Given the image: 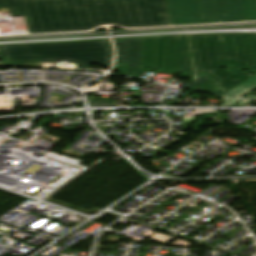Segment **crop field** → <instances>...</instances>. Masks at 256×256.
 I'll use <instances>...</instances> for the list:
<instances>
[{
  "label": "crop field",
  "mask_w": 256,
  "mask_h": 256,
  "mask_svg": "<svg viewBox=\"0 0 256 256\" xmlns=\"http://www.w3.org/2000/svg\"><path fill=\"white\" fill-rule=\"evenodd\" d=\"M119 26L172 25L167 0H114ZM30 33L93 29L105 24L99 0H0Z\"/></svg>",
  "instance_id": "1"
},
{
  "label": "crop field",
  "mask_w": 256,
  "mask_h": 256,
  "mask_svg": "<svg viewBox=\"0 0 256 256\" xmlns=\"http://www.w3.org/2000/svg\"><path fill=\"white\" fill-rule=\"evenodd\" d=\"M194 62L187 36H174L179 71L215 69L208 73L214 79L193 89L210 93L214 86L254 66L248 34H209L189 36ZM225 65V69H221Z\"/></svg>",
  "instance_id": "2"
},
{
  "label": "crop field",
  "mask_w": 256,
  "mask_h": 256,
  "mask_svg": "<svg viewBox=\"0 0 256 256\" xmlns=\"http://www.w3.org/2000/svg\"><path fill=\"white\" fill-rule=\"evenodd\" d=\"M5 66L40 67L41 62L68 60L78 68L98 63L110 68L113 49L106 40L1 46Z\"/></svg>",
  "instance_id": "3"
},
{
  "label": "crop field",
  "mask_w": 256,
  "mask_h": 256,
  "mask_svg": "<svg viewBox=\"0 0 256 256\" xmlns=\"http://www.w3.org/2000/svg\"><path fill=\"white\" fill-rule=\"evenodd\" d=\"M173 25L246 21L242 0H168Z\"/></svg>",
  "instance_id": "4"
},
{
  "label": "crop field",
  "mask_w": 256,
  "mask_h": 256,
  "mask_svg": "<svg viewBox=\"0 0 256 256\" xmlns=\"http://www.w3.org/2000/svg\"><path fill=\"white\" fill-rule=\"evenodd\" d=\"M156 71L179 73L173 36L157 37Z\"/></svg>",
  "instance_id": "5"
},
{
  "label": "crop field",
  "mask_w": 256,
  "mask_h": 256,
  "mask_svg": "<svg viewBox=\"0 0 256 256\" xmlns=\"http://www.w3.org/2000/svg\"><path fill=\"white\" fill-rule=\"evenodd\" d=\"M143 38L129 39L128 75L139 77L144 69H141Z\"/></svg>",
  "instance_id": "6"
},
{
  "label": "crop field",
  "mask_w": 256,
  "mask_h": 256,
  "mask_svg": "<svg viewBox=\"0 0 256 256\" xmlns=\"http://www.w3.org/2000/svg\"><path fill=\"white\" fill-rule=\"evenodd\" d=\"M249 36H250V41H251V47H252L255 67L250 69L249 71H247V72L229 80L228 82H226V83H224V84H222L218 87H215L210 94L221 97L226 92L230 91L231 89H233L234 87H236L237 85H239L240 83H242L243 81H245L246 79L251 77L247 73H251V74H254V75L256 74V34H249ZM235 79H240V80L239 81H234Z\"/></svg>",
  "instance_id": "7"
},
{
  "label": "crop field",
  "mask_w": 256,
  "mask_h": 256,
  "mask_svg": "<svg viewBox=\"0 0 256 256\" xmlns=\"http://www.w3.org/2000/svg\"><path fill=\"white\" fill-rule=\"evenodd\" d=\"M256 89V75L249 78L230 92L223 96L224 103L220 106L233 105L237 100Z\"/></svg>",
  "instance_id": "8"
},
{
  "label": "crop field",
  "mask_w": 256,
  "mask_h": 256,
  "mask_svg": "<svg viewBox=\"0 0 256 256\" xmlns=\"http://www.w3.org/2000/svg\"><path fill=\"white\" fill-rule=\"evenodd\" d=\"M156 37L144 38L142 68L155 69Z\"/></svg>",
  "instance_id": "9"
},
{
  "label": "crop field",
  "mask_w": 256,
  "mask_h": 256,
  "mask_svg": "<svg viewBox=\"0 0 256 256\" xmlns=\"http://www.w3.org/2000/svg\"><path fill=\"white\" fill-rule=\"evenodd\" d=\"M100 3H101L106 24L118 25L113 0H100Z\"/></svg>",
  "instance_id": "10"
},
{
  "label": "crop field",
  "mask_w": 256,
  "mask_h": 256,
  "mask_svg": "<svg viewBox=\"0 0 256 256\" xmlns=\"http://www.w3.org/2000/svg\"><path fill=\"white\" fill-rule=\"evenodd\" d=\"M127 52H128V39H119L118 51H117L118 63H127Z\"/></svg>",
  "instance_id": "11"
},
{
  "label": "crop field",
  "mask_w": 256,
  "mask_h": 256,
  "mask_svg": "<svg viewBox=\"0 0 256 256\" xmlns=\"http://www.w3.org/2000/svg\"><path fill=\"white\" fill-rule=\"evenodd\" d=\"M247 21L256 20V0H243Z\"/></svg>",
  "instance_id": "12"
},
{
  "label": "crop field",
  "mask_w": 256,
  "mask_h": 256,
  "mask_svg": "<svg viewBox=\"0 0 256 256\" xmlns=\"http://www.w3.org/2000/svg\"><path fill=\"white\" fill-rule=\"evenodd\" d=\"M210 79H212V78L209 75L206 74L202 77L196 78V79L190 81L189 83L185 84L184 89L191 90L194 87H196V86H198V85H200V84H202V83H204V82H206Z\"/></svg>",
  "instance_id": "13"
},
{
  "label": "crop field",
  "mask_w": 256,
  "mask_h": 256,
  "mask_svg": "<svg viewBox=\"0 0 256 256\" xmlns=\"http://www.w3.org/2000/svg\"><path fill=\"white\" fill-rule=\"evenodd\" d=\"M93 106H119L118 103H110L103 101H88Z\"/></svg>",
  "instance_id": "14"
},
{
  "label": "crop field",
  "mask_w": 256,
  "mask_h": 256,
  "mask_svg": "<svg viewBox=\"0 0 256 256\" xmlns=\"http://www.w3.org/2000/svg\"><path fill=\"white\" fill-rule=\"evenodd\" d=\"M256 100V95L252 94L250 96H247L243 102H240V104L238 106H245L253 101Z\"/></svg>",
  "instance_id": "15"
},
{
  "label": "crop field",
  "mask_w": 256,
  "mask_h": 256,
  "mask_svg": "<svg viewBox=\"0 0 256 256\" xmlns=\"http://www.w3.org/2000/svg\"><path fill=\"white\" fill-rule=\"evenodd\" d=\"M253 105H256V103H255V104H253Z\"/></svg>",
  "instance_id": "16"
}]
</instances>
